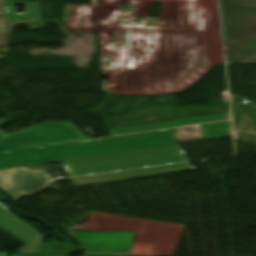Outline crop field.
Instances as JSON below:
<instances>
[{
  "mask_svg": "<svg viewBox=\"0 0 256 256\" xmlns=\"http://www.w3.org/2000/svg\"><path fill=\"white\" fill-rule=\"evenodd\" d=\"M179 129L0 154V169L173 145Z\"/></svg>",
  "mask_w": 256,
  "mask_h": 256,
  "instance_id": "obj_1",
  "label": "crop field"
},
{
  "mask_svg": "<svg viewBox=\"0 0 256 256\" xmlns=\"http://www.w3.org/2000/svg\"><path fill=\"white\" fill-rule=\"evenodd\" d=\"M180 147V146H179ZM178 145L63 162L70 177L186 162Z\"/></svg>",
  "mask_w": 256,
  "mask_h": 256,
  "instance_id": "obj_2",
  "label": "crop field"
},
{
  "mask_svg": "<svg viewBox=\"0 0 256 256\" xmlns=\"http://www.w3.org/2000/svg\"><path fill=\"white\" fill-rule=\"evenodd\" d=\"M8 121L0 119V126ZM87 139L70 122H46L11 134L0 131V152Z\"/></svg>",
  "mask_w": 256,
  "mask_h": 256,
  "instance_id": "obj_3",
  "label": "crop field"
},
{
  "mask_svg": "<svg viewBox=\"0 0 256 256\" xmlns=\"http://www.w3.org/2000/svg\"><path fill=\"white\" fill-rule=\"evenodd\" d=\"M52 180L43 171H29L24 167L0 170V188L13 197L32 194Z\"/></svg>",
  "mask_w": 256,
  "mask_h": 256,
  "instance_id": "obj_4",
  "label": "crop field"
},
{
  "mask_svg": "<svg viewBox=\"0 0 256 256\" xmlns=\"http://www.w3.org/2000/svg\"><path fill=\"white\" fill-rule=\"evenodd\" d=\"M0 227L24 242L18 252L39 253L44 235L19 220L0 204Z\"/></svg>",
  "mask_w": 256,
  "mask_h": 256,
  "instance_id": "obj_5",
  "label": "crop field"
},
{
  "mask_svg": "<svg viewBox=\"0 0 256 256\" xmlns=\"http://www.w3.org/2000/svg\"><path fill=\"white\" fill-rule=\"evenodd\" d=\"M192 170H195V169L192 166H190L188 163H186V164H180V165H174V166H168V167H160V168H152V169H144V170H136V171H128V172L103 174V175H97V176H91V177L75 178V179H72V181L75 186H83V185L99 184V183H106V182L119 181V180L158 176V175L192 171Z\"/></svg>",
  "mask_w": 256,
  "mask_h": 256,
  "instance_id": "obj_6",
  "label": "crop field"
},
{
  "mask_svg": "<svg viewBox=\"0 0 256 256\" xmlns=\"http://www.w3.org/2000/svg\"><path fill=\"white\" fill-rule=\"evenodd\" d=\"M228 118H230L229 113H226V114L197 117V118H190V119H183V120H176V121H169V122H161V123H154V124H147V125L117 128V129H111L108 131L111 136H114V135L170 128V127L184 126V125H190V124L211 122V121H217V120H224V119H228Z\"/></svg>",
  "mask_w": 256,
  "mask_h": 256,
  "instance_id": "obj_7",
  "label": "crop field"
},
{
  "mask_svg": "<svg viewBox=\"0 0 256 256\" xmlns=\"http://www.w3.org/2000/svg\"><path fill=\"white\" fill-rule=\"evenodd\" d=\"M9 24L40 20L37 3L4 2ZM13 4L26 5V13L15 14Z\"/></svg>",
  "mask_w": 256,
  "mask_h": 256,
  "instance_id": "obj_8",
  "label": "crop field"
},
{
  "mask_svg": "<svg viewBox=\"0 0 256 256\" xmlns=\"http://www.w3.org/2000/svg\"><path fill=\"white\" fill-rule=\"evenodd\" d=\"M199 128L201 134V141L232 136L229 122L212 125H203L199 126Z\"/></svg>",
  "mask_w": 256,
  "mask_h": 256,
  "instance_id": "obj_9",
  "label": "crop field"
},
{
  "mask_svg": "<svg viewBox=\"0 0 256 256\" xmlns=\"http://www.w3.org/2000/svg\"><path fill=\"white\" fill-rule=\"evenodd\" d=\"M200 140L198 126L183 128L177 135V144Z\"/></svg>",
  "mask_w": 256,
  "mask_h": 256,
  "instance_id": "obj_10",
  "label": "crop field"
},
{
  "mask_svg": "<svg viewBox=\"0 0 256 256\" xmlns=\"http://www.w3.org/2000/svg\"><path fill=\"white\" fill-rule=\"evenodd\" d=\"M70 249L64 243H43L40 253L64 254Z\"/></svg>",
  "mask_w": 256,
  "mask_h": 256,
  "instance_id": "obj_11",
  "label": "crop field"
},
{
  "mask_svg": "<svg viewBox=\"0 0 256 256\" xmlns=\"http://www.w3.org/2000/svg\"><path fill=\"white\" fill-rule=\"evenodd\" d=\"M8 28V23L6 21V17H0V40H4L6 36L7 30H4V28Z\"/></svg>",
  "mask_w": 256,
  "mask_h": 256,
  "instance_id": "obj_12",
  "label": "crop field"
},
{
  "mask_svg": "<svg viewBox=\"0 0 256 256\" xmlns=\"http://www.w3.org/2000/svg\"><path fill=\"white\" fill-rule=\"evenodd\" d=\"M12 256H60V255L16 253V254H14Z\"/></svg>",
  "mask_w": 256,
  "mask_h": 256,
  "instance_id": "obj_13",
  "label": "crop field"
},
{
  "mask_svg": "<svg viewBox=\"0 0 256 256\" xmlns=\"http://www.w3.org/2000/svg\"><path fill=\"white\" fill-rule=\"evenodd\" d=\"M0 15H6L3 0H0Z\"/></svg>",
  "mask_w": 256,
  "mask_h": 256,
  "instance_id": "obj_14",
  "label": "crop field"
},
{
  "mask_svg": "<svg viewBox=\"0 0 256 256\" xmlns=\"http://www.w3.org/2000/svg\"><path fill=\"white\" fill-rule=\"evenodd\" d=\"M113 255H125V254H113Z\"/></svg>",
  "mask_w": 256,
  "mask_h": 256,
  "instance_id": "obj_15",
  "label": "crop field"
},
{
  "mask_svg": "<svg viewBox=\"0 0 256 256\" xmlns=\"http://www.w3.org/2000/svg\"><path fill=\"white\" fill-rule=\"evenodd\" d=\"M0 60H3L2 56L0 55Z\"/></svg>",
  "mask_w": 256,
  "mask_h": 256,
  "instance_id": "obj_16",
  "label": "crop field"
}]
</instances>
